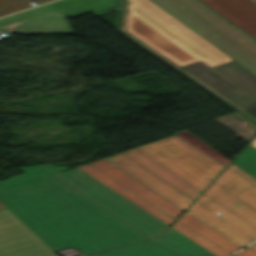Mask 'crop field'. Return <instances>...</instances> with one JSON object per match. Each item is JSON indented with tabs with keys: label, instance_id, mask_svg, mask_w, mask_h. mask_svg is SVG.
Listing matches in <instances>:
<instances>
[{
	"label": "crop field",
	"instance_id": "obj_24",
	"mask_svg": "<svg viewBox=\"0 0 256 256\" xmlns=\"http://www.w3.org/2000/svg\"><path fill=\"white\" fill-rule=\"evenodd\" d=\"M6 209V207L0 202V210Z\"/></svg>",
	"mask_w": 256,
	"mask_h": 256
},
{
	"label": "crop field",
	"instance_id": "obj_20",
	"mask_svg": "<svg viewBox=\"0 0 256 256\" xmlns=\"http://www.w3.org/2000/svg\"><path fill=\"white\" fill-rule=\"evenodd\" d=\"M111 1L114 2L117 5L111 6V7H108V8H104V9H100V10H97V11H93V13L98 15V14H102V13L113 11V10H116V9L120 8L121 0H111Z\"/></svg>",
	"mask_w": 256,
	"mask_h": 256
},
{
	"label": "crop field",
	"instance_id": "obj_8",
	"mask_svg": "<svg viewBox=\"0 0 256 256\" xmlns=\"http://www.w3.org/2000/svg\"><path fill=\"white\" fill-rule=\"evenodd\" d=\"M89 165L93 166L100 172L104 173L111 179L115 180L119 184L123 185L127 189L131 190L132 192L136 193L140 197L144 198L151 204L155 205L165 213L169 214L173 218H177L183 210L175 206L174 204L170 203L148 187L144 186L122 170L118 169L108 161L102 159L95 162L89 163Z\"/></svg>",
	"mask_w": 256,
	"mask_h": 256
},
{
	"label": "crop field",
	"instance_id": "obj_13",
	"mask_svg": "<svg viewBox=\"0 0 256 256\" xmlns=\"http://www.w3.org/2000/svg\"><path fill=\"white\" fill-rule=\"evenodd\" d=\"M91 256H175L148 240Z\"/></svg>",
	"mask_w": 256,
	"mask_h": 256
},
{
	"label": "crop field",
	"instance_id": "obj_10",
	"mask_svg": "<svg viewBox=\"0 0 256 256\" xmlns=\"http://www.w3.org/2000/svg\"><path fill=\"white\" fill-rule=\"evenodd\" d=\"M180 22L215 14L197 0H151Z\"/></svg>",
	"mask_w": 256,
	"mask_h": 256
},
{
	"label": "crop field",
	"instance_id": "obj_3",
	"mask_svg": "<svg viewBox=\"0 0 256 256\" xmlns=\"http://www.w3.org/2000/svg\"><path fill=\"white\" fill-rule=\"evenodd\" d=\"M105 159L183 210L225 167L178 135Z\"/></svg>",
	"mask_w": 256,
	"mask_h": 256
},
{
	"label": "crop field",
	"instance_id": "obj_6",
	"mask_svg": "<svg viewBox=\"0 0 256 256\" xmlns=\"http://www.w3.org/2000/svg\"><path fill=\"white\" fill-rule=\"evenodd\" d=\"M0 256H57L8 209L0 211Z\"/></svg>",
	"mask_w": 256,
	"mask_h": 256
},
{
	"label": "crop field",
	"instance_id": "obj_18",
	"mask_svg": "<svg viewBox=\"0 0 256 256\" xmlns=\"http://www.w3.org/2000/svg\"><path fill=\"white\" fill-rule=\"evenodd\" d=\"M47 1L50 0H0V17L33 7L32 2L40 4Z\"/></svg>",
	"mask_w": 256,
	"mask_h": 256
},
{
	"label": "crop field",
	"instance_id": "obj_1",
	"mask_svg": "<svg viewBox=\"0 0 256 256\" xmlns=\"http://www.w3.org/2000/svg\"><path fill=\"white\" fill-rule=\"evenodd\" d=\"M18 169L24 174L0 181V201L54 251L87 255L147 239L50 175L67 166Z\"/></svg>",
	"mask_w": 256,
	"mask_h": 256
},
{
	"label": "crop field",
	"instance_id": "obj_23",
	"mask_svg": "<svg viewBox=\"0 0 256 256\" xmlns=\"http://www.w3.org/2000/svg\"><path fill=\"white\" fill-rule=\"evenodd\" d=\"M250 144L256 147V138Z\"/></svg>",
	"mask_w": 256,
	"mask_h": 256
},
{
	"label": "crop field",
	"instance_id": "obj_19",
	"mask_svg": "<svg viewBox=\"0 0 256 256\" xmlns=\"http://www.w3.org/2000/svg\"><path fill=\"white\" fill-rule=\"evenodd\" d=\"M178 135H180L181 137H183L184 139H186L187 141H189L190 143H192L193 145H195L196 147H198L199 149H201L202 151H204L205 153H207L208 155H210L211 157H213L223 165L226 166L229 163H231L225 158H223L222 156H220L218 153H216L215 151H213L212 149H210L209 147H207L206 145L198 141L196 138L188 134L187 132L183 131L181 133H178Z\"/></svg>",
	"mask_w": 256,
	"mask_h": 256
},
{
	"label": "crop field",
	"instance_id": "obj_22",
	"mask_svg": "<svg viewBox=\"0 0 256 256\" xmlns=\"http://www.w3.org/2000/svg\"><path fill=\"white\" fill-rule=\"evenodd\" d=\"M248 249L256 250V242L249 246Z\"/></svg>",
	"mask_w": 256,
	"mask_h": 256
},
{
	"label": "crop field",
	"instance_id": "obj_14",
	"mask_svg": "<svg viewBox=\"0 0 256 256\" xmlns=\"http://www.w3.org/2000/svg\"><path fill=\"white\" fill-rule=\"evenodd\" d=\"M178 221L185 224L189 228L193 229L197 233L201 234L202 236H204L205 238L212 241L213 243L220 246L221 248H223L224 250L228 251L231 254L240 249L185 212Z\"/></svg>",
	"mask_w": 256,
	"mask_h": 256
},
{
	"label": "crop field",
	"instance_id": "obj_9",
	"mask_svg": "<svg viewBox=\"0 0 256 256\" xmlns=\"http://www.w3.org/2000/svg\"><path fill=\"white\" fill-rule=\"evenodd\" d=\"M256 39V4L250 0H200Z\"/></svg>",
	"mask_w": 256,
	"mask_h": 256
},
{
	"label": "crop field",
	"instance_id": "obj_5",
	"mask_svg": "<svg viewBox=\"0 0 256 256\" xmlns=\"http://www.w3.org/2000/svg\"><path fill=\"white\" fill-rule=\"evenodd\" d=\"M52 175L148 238L163 234L169 227L78 168Z\"/></svg>",
	"mask_w": 256,
	"mask_h": 256
},
{
	"label": "crop field",
	"instance_id": "obj_16",
	"mask_svg": "<svg viewBox=\"0 0 256 256\" xmlns=\"http://www.w3.org/2000/svg\"><path fill=\"white\" fill-rule=\"evenodd\" d=\"M256 178V148L248 145L232 162Z\"/></svg>",
	"mask_w": 256,
	"mask_h": 256
},
{
	"label": "crop field",
	"instance_id": "obj_15",
	"mask_svg": "<svg viewBox=\"0 0 256 256\" xmlns=\"http://www.w3.org/2000/svg\"><path fill=\"white\" fill-rule=\"evenodd\" d=\"M172 228L179 231L183 235L187 236L188 238L195 241L196 243L203 246L204 248L211 251L212 253H214L217 256H229V255H231L228 252L224 251L220 247L216 246L212 242L208 241L207 239H205L204 237L197 234L196 232L189 229L188 227H186L185 225L181 224L178 221L175 223V225Z\"/></svg>",
	"mask_w": 256,
	"mask_h": 256
},
{
	"label": "crop field",
	"instance_id": "obj_25",
	"mask_svg": "<svg viewBox=\"0 0 256 256\" xmlns=\"http://www.w3.org/2000/svg\"><path fill=\"white\" fill-rule=\"evenodd\" d=\"M251 1H253L254 3H256V0H251Z\"/></svg>",
	"mask_w": 256,
	"mask_h": 256
},
{
	"label": "crop field",
	"instance_id": "obj_11",
	"mask_svg": "<svg viewBox=\"0 0 256 256\" xmlns=\"http://www.w3.org/2000/svg\"><path fill=\"white\" fill-rule=\"evenodd\" d=\"M92 167L89 166V165H83V166H79L78 168L85 171L86 173H88L92 177L96 178L97 180H99L103 184L107 185L108 187H110L114 191L118 192L119 194H121L122 196H124L128 200L132 201L133 203H135L139 207L143 208L144 210H146L150 214L154 215L155 217H157L161 221L165 222L169 226L175 220L172 217H170L169 215H167L164 212H162L161 210H159L158 208H156L155 206L151 205L150 203H148L144 199L135 195L131 191L127 190L123 186L119 185L118 183L111 180L110 178H108L107 176H105L104 174L100 173L99 171H97L96 169H94Z\"/></svg>",
	"mask_w": 256,
	"mask_h": 256
},
{
	"label": "crop field",
	"instance_id": "obj_2",
	"mask_svg": "<svg viewBox=\"0 0 256 256\" xmlns=\"http://www.w3.org/2000/svg\"><path fill=\"white\" fill-rule=\"evenodd\" d=\"M124 30L147 48L256 118V76L149 0H127Z\"/></svg>",
	"mask_w": 256,
	"mask_h": 256
},
{
	"label": "crop field",
	"instance_id": "obj_17",
	"mask_svg": "<svg viewBox=\"0 0 256 256\" xmlns=\"http://www.w3.org/2000/svg\"><path fill=\"white\" fill-rule=\"evenodd\" d=\"M228 55L256 75V46L228 53Z\"/></svg>",
	"mask_w": 256,
	"mask_h": 256
},
{
	"label": "crop field",
	"instance_id": "obj_7",
	"mask_svg": "<svg viewBox=\"0 0 256 256\" xmlns=\"http://www.w3.org/2000/svg\"><path fill=\"white\" fill-rule=\"evenodd\" d=\"M184 25L226 53L256 45L255 39L217 14Z\"/></svg>",
	"mask_w": 256,
	"mask_h": 256
},
{
	"label": "crop field",
	"instance_id": "obj_21",
	"mask_svg": "<svg viewBox=\"0 0 256 256\" xmlns=\"http://www.w3.org/2000/svg\"><path fill=\"white\" fill-rule=\"evenodd\" d=\"M234 256H256V251L245 249V250L235 254Z\"/></svg>",
	"mask_w": 256,
	"mask_h": 256
},
{
	"label": "crop field",
	"instance_id": "obj_4",
	"mask_svg": "<svg viewBox=\"0 0 256 256\" xmlns=\"http://www.w3.org/2000/svg\"><path fill=\"white\" fill-rule=\"evenodd\" d=\"M185 212L241 248L256 238V180L231 164Z\"/></svg>",
	"mask_w": 256,
	"mask_h": 256
},
{
	"label": "crop field",
	"instance_id": "obj_12",
	"mask_svg": "<svg viewBox=\"0 0 256 256\" xmlns=\"http://www.w3.org/2000/svg\"><path fill=\"white\" fill-rule=\"evenodd\" d=\"M151 240L177 256H215L172 228L164 236Z\"/></svg>",
	"mask_w": 256,
	"mask_h": 256
}]
</instances>
